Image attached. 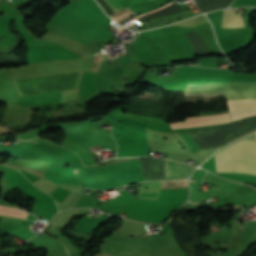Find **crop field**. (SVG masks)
Masks as SVG:
<instances>
[{
	"label": "crop field",
	"instance_id": "crop-field-1",
	"mask_svg": "<svg viewBox=\"0 0 256 256\" xmlns=\"http://www.w3.org/2000/svg\"><path fill=\"white\" fill-rule=\"evenodd\" d=\"M186 97L220 96L224 94L226 100L256 98V82H218L186 84ZM232 120L254 116L256 111L230 112Z\"/></svg>",
	"mask_w": 256,
	"mask_h": 256
},
{
	"label": "crop field",
	"instance_id": "crop-field-2",
	"mask_svg": "<svg viewBox=\"0 0 256 256\" xmlns=\"http://www.w3.org/2000/svg\"><path fill=\"white\" fill-rule=\"evenodd\" d=\"M256 153V142L240 141L216 154ZM216 171L221 173L256 174V154L249 155H214Z\"/></svg>",
	"mask_w": 256,
	"mask_h": 256
},
{
	"label": "crop field",
	"instance_id": "crop-field-3",
	"mask_svg": "<svg viewBox=\"0 0 256 256\" xmlns=\"http://www.w3.org/2000/svg\"><path fill=\"white\" fill-rule=\"evenodd\" d=\"M230 122L228 113L218 114L205 117H196V118H186L184 121L172 123L171 128H184V127H193V126H202L210 124H219Z\"/></svg>",
	"mask_w": 256,
	"mask_h": 256
},
{
	"label": "crop field",
	"instance_id": "crop-field-4",
	"mask_svg": "<svg viewBox=\"0 0 256 256\" xmlns=\"http://www.w3.org/2000/svg\"><path fill=\"white\" fill-rule=\"evenodd\" d=\"M196 168L193 165L165 160V178L187 177Z\"/></svg>",
	"mask_w": 256,
	"mask_h": 256
},
{
	"label": "crop field",
	"instance_id": "crop-field-5",
	"mask_svg": "<svg viewBox=\"0 0 256 256\" xmlns=\"http://www.w3.org/2000/svg\"><path fill=\"white\" fill-rule=\"evenodd\" d=\"M187 187V179L162 182L160 189Z\"/></svg>",
	"mask_w": 256,
	"mask_h": 256
},
{
	"label": "crop field",
	"instance_id": "crop-field-6",
	"mask_svg": "<svg viewBox=\"0 0 256 256\" xmlns=\"http://www.w3.org/2000/svg\"><path fill=\"white\" fill-rule=\"evenodd\" d=\"M132 15H134V13L129 8H125L124 10H122L110 17L118 23Z\"/></svg>",
	"mask_w": 256,
	"mask_h": 256
},
{
	"label": "crop field",
	"instance_id": "crop-field-7",
	"mask_svg": "<svg viewBox=\"0 0 256 256\" xmlns=\"http://www.w3.org/2000/svg\"><path fill=\"white\" fill-rule=\"evenodd\" d=\"M113 13L123 8L118 0H104Z\"/></svg>",
	"mask_w": 256,
	"mask_h": 256
},
{
	"label": "crop field",
	"instance_id": "crop-field-8",
	"mask_svg": "<svg viewBox=\"0 0 256 256\" xmlns=\"http://www.w3.org/2000/svg\"><path fill=\"white\" fill-rule=\"evenodd\" d=\"M171 4H173V3L171 2V3L165 5V6L161 7V8H158V9L153 10V11H151V12H148V13H145V14H143V15H140V16L136 17V19H138V18H140V17H142V16H145V15H147V14L153 13V12H155V11H158V10H160V9H163V8H165V7H167V6L171 5Z\"/></svg>",
	"mask_w": 256,
	"mask_h": 256
},
{
	"label": "crop field",
	"instance_id": "crop-field-9",
	"mask_svg": "<svg viewBox=\"0 0 256 256\" xmlns=\"http://www.w3.org/2000/svg\"><path fill=\"white\" fill-rule=\"evenodd\" d=\"M114 35H115V34H114ZM114 35H113V36H114ZM113 36L110 38V40L113 38ZM110 40H109V41H110ZM109 41H107V42H109ZM107 42H105V43H107Z\"/></svg>",
	"mask_w": 256,
	"mask_h": 256
},
{
	"label": "crop field",
	"instance_id": "crop-field-10",
	"mask_svg": "<svg viewBox=\"0 0 256 256\" xmlns=\"http://www.w3.org/2000/svg\"><path fill=\"white\" fill-rule=\"evenodd\" d=\"M114 129V128H113Z\"/></svg>",
	"mask_w": 256,
	"mask_h": 256
}]
</instances>
